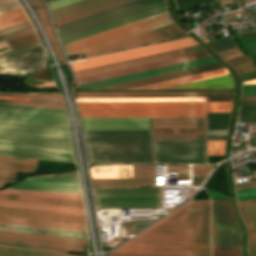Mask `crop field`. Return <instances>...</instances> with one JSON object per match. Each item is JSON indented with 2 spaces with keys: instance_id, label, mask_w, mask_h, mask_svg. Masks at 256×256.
I'll list each match as a JSON object with an SVG mask.
<instances>
[{
  "instance_id": "8a807250",
  "label": "crop field",
  "mask_w": 256,
  "mask_h": 256,
  "mask_svg": "<svg viewBox=\"0 0 256 256\" xmlns=\"http://www.w3.org/2000/svg\"><path fill=\"white\" fill-rule=\"evenodd\" d=\"M0 155L73 161L69 129L0 121Z\"/></svg>"
},
{
  "instance_id": "ac0d7876",
  "label": "crop field",
  "mask_w": 256,
  "mask_h": 256,
  "mask_svg": "<svg viewBox=\"0 0 256 256\" xmlns=\"http://www.w3.org/2000/svg\"><path fill=\"white\" fill-rule=\"evenodd\" d=\"M126 244L210 245L209 200L188 202Z\"/></svg>"
},
{
  "instance_id": "34b2d1b8",
  "label": "crop field",
  "mask_w": 256,
  "mask_h": 256,
  "mask_svg": "<svg viewBox=\"0 0 256 256\" xmlns=\"http://www.w3.org/2000/svg\"><path fill=\"white\" fill-rule=\"evenodd\" d=\"M88 162H154L152 131H82Z\"/></svg>"
},
{
  "instance_id": "412701ff",
  "label": "crop field",
  "mask_w": 256,
  "mask_h": 256,
  "mask_svg": "<svg viewBox=\"0 0 256 256\" xmlns=\"http://www.w3.org/2000/svg\"><path fill=\"white\" fill-rule=\"evenodd\" d=\"M79 118L205 117L204 102L76 103Z\"/></svg>"
},
{
  "instance_id": "f4fd0767",
  "label": "crop field",
  "mask_w": 256,
  "mask_h": 256,
  "mask_svg": "<svg viewBox=\"0 0 256 256\" xmlns=\"http://www.w3.org/2000/svg\"><path fill=\"white\" fill-rule=\"evenodd\" d=\"M172 20V19H171ZM168 18L167 13L163 12L67 45H64V49L67 55L87 52L128 37L173 23Z\"/></svg>"
},
{
  "instance_id": "dd49c442",
  "label": "crop field",
  "mask_w": 256,
  "mask_h": 256,
  "mask_svg": "<svg viewBox=\"0 0 256 256\" xmlns=\"http://www.w3.org/2000/svg\"><path fill=\"white\" fill-rule=\"evenodd\" d=\"M163 0H135L109 10L58 26L60 38H65L161 5Z\"/></svg>"
},
{
  "instance_id": "e52e79f7",
  "label": "crop field",
  "mask_w": 256,
  "mask_h": 256,
  "mask_svg": "<svg viewBox=\"0 0 256 256\" xmlns=\"http://www.w3.org/2000/svg\"><path fill=\"white\" fill-rule=\"evenodd\" d=\"M0 206H10V207H20V208L84 214L83 209H79V208H70V207H61V206H52V205H43V204H34V203H25V202H16V201H7V200H0ZM0 215L85 224L84 215H77V214L0 207Z\"/></svg>"
},
{
  "instance_id": "d8731c3e",
  "label": "crop field",
  "mask_w": 256,
  "mask_h": 256,
  "mask_svg": "<svg viewBox=\"0 0 256 256\" xmlns=\"http://www.w3.org/2000/svg\"><path fill=\"white\" fill-rule=\"evenodd\" d=\"M156 162L206 163L205 141H154Z\"/></svg>"
},
{
  "instance_id": "5a996713",
  "label": "crop field",
  "mask_w": 256,
  "mask_h": 256,
  "mask_svg": "<svg viewBox=\"0 0 256 256\" xmlns=\"http://www.w3.org/2000/svg\"><path fill=\"white\" fill-rule=\"evenodd\" d=\"M34 43L8 53L0 57L15 53L17 51L38 45ZM44 51L40 45L17 52L15 54L0 58V74L23 76L28 73L45 68Z\"/></svg>"
},
{
  "instance_id": "3316defc",
  "label": "crop field",
  "mask_w": 256,
  "mask_h": 256,
  "mask_svg": "<svg viewBox=\"0 0 256 256\" xmlns=\"http://www.w3.org/2000/svg\"><path fill=\"white\" fill-rule=\"evenodd\" d=\"M197 43L191 38H184L179 40H174L170 42H165L161 44L151 45L147 47H142L138 49H133L129 51H124L120 53L110 54L106 56H101L97 58H92L88 60L78 61L70 63L73 71L90 68L94 66L104 65L108 63H113L117 61L127 60L131 58L141 57L145 55L155 54L159 52H164L168 50L178 49L182 47L196 45Z\"/></svg>"
},
{
  "instance_id": "28ad6ade",
  "label": "crop field",
  "mask_w": 256,
  "mask_h": 256,
  "mask_svg": "<svg viewBox=\"0 0 256 256\" xmlns=\"http://www.w3.org/2000/svg\"><path fill=\"white\" fill-rule=\"evenodd\" d=\"M66 110L0 104V119L69 126Z\"/></svg>"
},
{
  "instance_id": "d1516ede",
  "label": "crop field",
  "mask_w": 256,
  "mask_h": 256,
  "mask_svg": "<svg viewBox=\"0 0 256 256\" xmlns=\"http://www.w3.org/2000/svg\"><path fill=\"white\" fill-rule=\"evenodd\" d=\"M204 50L199 46H192L187 48H182L178 50L168 51L164 53H159L155 55L145 56L141 58L131 59L127 61L117 62L113 64H108L104 66L94 67L90 69L80 70L74 72L75 78H82L87 76H92L96 74L106 73L110 71L120 70L124 68L134 67L138 65H143L147 63L157 62L161 60L171 59L175 57L185 56L189 54L203 52Z\"/></svg>"
},
{
  "instance_id": "22f410ed",
  "label": "crop field",
  "mask_w": 256,
  "mask_h": 256,
  "mask_svg": "<svg viewBox=\"0 0 256 256\" xmlns=\"http://www.w3.org/2000/svg\"><path fill=\"white\" fill-rule=\"evenodd\" d=\"M184 31L179 28L175 23L131 37L129 39L84 53V57H92L96 55L111 53L115 51L130 49L134 47H139L142 44H145L147 42L151 43L154 41H158L170 36H174L180 33H183Z\"/></svg>"
},
{
  "instance_id": "cbeb9de0",
  "label": "crop field",
  "mask_w": 256,
  "mask_h": 256,
  "mask_svg": "<svg viewBox=\"0 0 256 256\" xmlns=\"http://www.w3.org/2000/svg\"><path fill=\"white\" fill-rule=\"evenodd\" d=\"M215 62L216 61L212 57H209V58L190 61V62H186V63L171 65V66H167V67H162V68L152 69V70L138 72V73H134V74L119 76V77H115V78L100 80V81L86 83V84H82V85H77L75 87L85 88V89H95V88H99V87L123 83V82H127V81H132V80H136V79L146 78V77L160 75V74L169 73V72H174V71H178V70H183V69H187V68L211 64V63H215Z\"/></svg>"
},
{
  "instance_id": "5142ce71",
  "label": "crop field",
  "mask_w": 256,
  "mask_h": 256,
  "mask_svg": "<svg viewBox=\"0 0 256 256\" xmlns=\"http://www.w3.org/2000/svg\"><path fill=\"white\" fill-rule=\"evenodd\" d=\"M96 208L160 207V194L94 195Z\"/></svg>"
},
{
  "instance_id": "d9b57169",
  "label": "crop field",
  "mask_w": 256,
  "mask_h": 256,
  "mask_svg": "<svg viewBox=\"0 0 256 256\" xmlns=\"http://www.w3.org/2000/svg\"><path fill=\"white\" fill-rule=\"evenodd\" d=\"M79 120L82 130H152L151 118Z\"/></svg>"
},
{
  "instance_id": "733c2abd",
  "label": "crop field",
  "mask_w": 256,
  "mask_h": 256,
  "mask_svg": "<svg viewBox=\"0 0 256 256\" xmlns=\"http://www.w3.org/2000/svg\"><path fill=\"white\" fill-rule=\"evenodd\" d=\"M234 92L77 93L78 97H206V101H232Z\"/></svg>"
},
{
  "instance_id": "4a817a6b",
  "label": "crop field",
  "mask_w": 256,
  "mask_h": 256,
  "mask_svg": "<svg viewBox=\"0 0 256 256\" xmlns=\"http://www.w3.org/2000/svg\"><path fill=\"white\" fill-rule=\"evenodd\" d=\"M7 188L80 192L77 177L27 178Z\"/></svg>"
},
{
  "instance_id": "bc2a9ffb",
  "label": "crop field",
  "mask_w": 256,
  "mask_h": 256,
  "mask_svg": "<svg viewBox=\"0 0 256 256\" xmlns=\"http://www.w3.org/2000/svg\"><path fill=\"white\" fill-rule=\"evenodd\" d=\"M134 179H91L93 188L155 185V165H133Z\"/></svg>"
},
{
  "instance_id": "214f88e0",
  "label": "crop field",
  "mask_w": 256,
  "mask_h": 256,
  "mask_svg": "<svg viewBox=\"0 0 256 256\" xmlns=\"http://www.w3.org/2000/svg\"><path fill=\"white\" fill-rule=\"evenodd\" d=\"M209 56L210 55H208L206 52H203V53H199V54H194V55L175 58V59H171V60L161 61V62H157V63L147 64V65H143V66H138V67H134V68L124 69V70H120V71L110 72V73L96 75V76L87 77V78H82V79L76 80L75 85L86 83V82H91V81H96V80H100V79L115 77V76H119V75L134 73V72H138V71L148 70V69H152V68L167 66V65H171V64L186 62V61H190V60L200 59V58L209 57Z\"/></svg>"
},
{
  "instance_id": "92a150f3",
  "label": "crop field",
  "mask_w": 256,
  "mask_h": 256,
  "mask_svg": "<svg viewBox=\"0 0 256 256\" xmlns=\"http://www.w3.org/2000/svg\"><path fill=\"white\" fill-rule=\"evenodd\" d=\"M0 244L10 245V246H19V247H28V248H37V249H46V250L84 252L83 245H79V244L39 241V240L10 238V237H0Z\"/></svg>"
},
{
  "instance_id": "dafd665d",
  "label": "crop field",
  "mask_w": 256,
  "mask_h": 256,
  "mask_svg": "<svg viewBox=\"0 0 256 256\" xmlns=\"http://www.w3.org/2000/svg\"><path fill=\"white\" fill-rule=\"evenodd\" d=\"M114 252L210 253V246L123 245Z\"/></svg>"
},
{
  "instance_id": "00972430",
  "label": "crop field",
  "mask_w": 256,
  "mask_h": 256,
  "mask_svg": "<svg viewBox=\"0 0 256 256\" xmlns=\"http://www.w3.org/2000/svg\"><path fill=\"white\" fill-rule=\"evenodd\" d=\"M218 68H222V66L218 63H215L211 65L201 66L197 68L187 69L183 71H178L174 73L164 74L160 76L150 77L146 79L136 80L132 82H127V83L113 85V86L99 88V89H128L132 87H137L141 85H146L150 83H155L159 81H164L168 79H173L177 77H182V76L191 75V74L200 73V72L209 71V70L218 69Z\"/></svg>"
},
{
  "instance_id": "a9b5d70f",
  "label": "crop field",
  "mask_w": 256,
  "mask_h": 256,
  "mask_svg": "<svg viewBox=\"0 0 256 256\" xmlns=\"http://www.w3.org/2000/svg\"><path fill=\"white\" fill-rule=\"evenodd\" d=\"M0 223L86 232L85 225L0 216Z\"/></svg>"
},
{
  "instance_id": "4177f3b9",
  "label": "crop field",
  "mask_w": 256,
  "mask_h": 256,
  "mask_svg": "<svg viewBox=\"0 0 256 256\" xmlns=\"http://www.w3.org/2000/svg\"><path fill=\"white\" fill-rule=\"evenodd\" d=\"M166 10H167L166 6L164 5V6H161V7H158V8H155V9H152V10H149V11H146V12H143V13H140V14H137V15H134V16H131V17H128V18H125V19H122V20H119V21H116V22H113V23H110V24L92 29V30H89V31H86V32H83V33H80V34L62 39L61 41L63 42V44H65V43H68V42H71V41H74V40H77V39H80V38H83V37H86V36H90V35H93V34H96V33H99V32H102V31H105V30H108V29H111V28H114V27H117V26H120V25H123V24H126V23H129V22L138 20V19H142V18L151 16V15L166 11Z\"/></svg>"
},
{
  "instance_id": "730fd06b",
  "label": "crop field",
  "mask_w": 256,
  "mask_h": 256,
  "mask_svg": "<svg viewBox=\"0 0 256 256\" xmlns=\"http://www.w3.org/2000/svg\"><path fill=\"white\" fill-rule=\"evenodd\" d=\"M91 178H133L132 165L89 167Z\"/></svg>"
},
{
  "instance_id": "eef30255",
  "label": "crop field",
  "mask_w": 256,
  "mask_h": 256,
  "mask_svg": "<svg viewBox=\"0 0 256 256\" xmlns=\"http://www.w3.org/2000/svg\"><path fill=\"white\" fill-rule=\"evenodd\" d=\"M237 207L248 230V240L256 239V199L237 202Z\"/></svg>"
},
{
  "instance_id": "ae1a2a85",
  "label": "crop field",
  "mask_w": 256,
  "mask_h": 256,
  "mask_svg": "<svg viewBox=\"0 0 256 256\" xmlns=\"http://www.w3.org/2000/svg\"><path fill=\"white\" fill-rule=\"evenodd\" d=\"M153 128L205 127V118H152Z\"/></svg>"
},
{
  "instance_id": "d3111659",
  "label": "crop field",
  "mask_w": 256,
  "mask_h": 256,
  "mask_svg": "<svg viewBox=\"0 0 256 256\" xmlns=\"http://www.w3.org/2000/svg\"><path fill=\"white\" fill-rule=\"evenodd\" d=\"M111 1H114V0H81L69 5L62 6L52 10L54 20L80 12V11H84V10H87Z\"/></svg>"
},
{
  "instance_id": "750c4746",
  "label": "crop field",
  "mask_w": 256,
  "mask_h": 256,
  "mask_svg": "<svg viewBox=\"0 0 256 256\" xmlns=\"http://www.w3.org/2000/svg\"><path fill=\"white\" fill-rule=\"evenodd\" d=\"M167 88H234L230 74Z\"/></svg>"
},
{
  "instance_id": "bd1437ed",
  "label": "crop field",
  "mask_w": 256,
  "mask_h": 256,
  "mask_svg": "<svg viewBox=\"0 0 256 256\" xmlns=\"http://www.w3.org/2000/svg\"><path fill=\"white\" fill-rule=\"evenodd\" d=\"M0 199L83 208L82 201L0 194Z\"/></svg>"
},
{
  "instance_id": "1d83c4d3",
  "label": "crop field",
  "mask_w": 256,
  "mask_h": 256,
  "mask_svg": "<svg viewBox=\"0 0 256 256\" xmlns=\"http://www.w3.org/2000/svg\"><path fill=\"white\" fill-rule=\"evenodd\" d=\"M227 73L228 72L226 71V69L222 68V69H218V70H213V71H209V72H204V73H200V74H195V75H191V76H186V77H182V78H177V79H173V80H168V81L159 82V83L150 84V85L141 86V87L132 88V89L162 88V87H166V86L176 85V84H180V83L190 82V81H194V80L204 79V78L218 76V75L227 74Z\"/></svg>"
},
{
  "instance_id": "120bbe31",
  "label": "crop field",
  "mask_w": 256,
  "mask_h": 256,
  "mask_svg": "<svg viewBox=\"0 0 256 256\" xmlns=\"http://www.w3.org/2000/svg\"><path fill=\"white\" fill-rule=\"evenodd\" d=\"M0 230H10V231L30 232V233H39V234L79 237V238L87 239L86 233L34 228V227L17 226V225H8V224H0Z\"/></svg>"
},
{
  "instance_id": "d32e631a",
  "label": "crop field",
  "mask_w": 256,
  "mask_h": 256,
  "mask_svg": "<svg viewBox=\"0 0 256 256\" xmlns=\"http://www.w3.org/2000/svg\"><path fill=\"white\" fill-rule=\"evenodd\" d=\"M35 166L0 163V186L4 187L16 179V173L32 172Z\"/></svg>"
},
{
  "instance_id": "5866460e",
  "label": "crop field",
  "mask_w": 256,
  "mask_h": 256,
  "mask_svg": "<svg viewBox=\"0 0 256 256\" xmlns=\"http://www.w3.org/2000/svg\"><path fill=\"white\" fill-rule=\"evenodd\" d=\"M76 102L204 101V98H75Z\"/></svg>"
},
{
  "instance_id": "028f5c9d",
  "label": "crop field",
  "mask_w": 256,
  "mask_h": 256,
  "mask_svg": "<svg viewBox=\"0 0 256 256\" xmlns=\"http://www.w3.org/2000/svg\"><path fill=\"white\" fill-rule=\"evenodd\" d=\"M212 223H237L231 213L230 202L211 201Z\"/></svg>"
},
{
  "instance_id": "e1f06a70",
  "label": "crop field",
  "mask_w": 256,
  "mask_h": 256,
  "mask_svg": "<svg viewBox=\"0 0 256 256\" xmlns=\"http://www.w3.org/2000/svg\"><path fill=\"white\" fill-rule=\"evenodd\" d=\"M0 193L79 200L77 193L4 189Z\"/></svg>"
},
{
  "instance_id": "0bd39190",
  "label": "crop field",
  "mask_w": 256,
  "mask_h": 256,
  "mask_svg": "<svg viewBox=\"0 0 256 256\" xmlns=\"http://www.w3.org/2000/svg\"><path fill=\"white\" fill-rule=\"evenodd\" d=\"M0 236H10V237H20V238H30V239H39V240H49V241H59V242H69V243L83 244V239H79V238L39 235V234L10 232V231H0Z\"/></svg>"
},
{
  "instance_id": "b80d0937",
  "label": "crop field",
  "mask_w": 256,
  "mask_h": 256,
  "mask_svg": "<svg viewBox=\"0 0 256 256\" xmlns=\"http://www.w3.org/2000/svg\"><path fill=\"white\" fill-rule=\"evenodd\" d=\"M0 96L29 98V101H64L57 93L44 92H0Z\"/></svg>"
},
{
  "instance_id": "c035e120",
  "label": "crop field",
  "mask_w": 256,
  "mask_h": 256,
  "mask_svg": "<svg viewBox=\"0 0 256 256\" xmlns=\"http://www.w3.org/2000/svg\"><path fill=\"white\" fill-rule=\"evenodd\" d=\"M0 256H77V255L0 247Z\"/></svg>"
},
{
  "instance_id": "c21b1889",
  "label": "crop field",
  "mask_w": 256,
  "mask_h": 256,
  "mask_svg": "<svg viewBox=\"0 0 256 256\" xmlns=\"http://www.w3.org/2000/svg\"><path fill=\"white\" fill-rule=\"evenodd\" d=\"M129 1H132V0H118V1L106 4V5H102V6H99V7H96V8H93V9H90V10H87V11H84V12L72 15V16H68V17L56 20L55 22H56V25L58 26V25H61V24H64V23H67V22H70V21H73V20H76V19L88 16V15H91V14H94V13L106 10L108 8H111V7H114V6H117V5L129 2Z\"/></svg>"
},
{
  "instance_id": "03da06ac",
  "label": "crop field",
  "mask_w": 256,
  "mask_h": 256,
  "mask_svg": "<svg viewBox=\"0 0 256 256\" xmlns=\"http://www.w3.org/2000/svg\"><path fill=\"white\" fill-rule=\"evenodd\" d=\"M230 113H207V130H227Z\"/></svg>"
},
{
  "instance_id": "b54c1fbb",
  "label": "crop field",
  "mask_w": 256,
  "mask_h": 256,
  "mask_svg": "<svg viewBox=\"0 0 256 256\" xmlns=\"http://www.w3.org/2000/svg\"><path fill=\"white\" fill-rule=\"evenodd\" d=\"M241 235L212 234V247H240Z\"/></svg>"
},
{
  "instance_id": "5d738f31",
  "label": "crop field",
  "mask_w": 256,
  "mask_h": 256,
  "mask_svg": "<svg viewBox=\"0 0 256 256\" xmlns=\"http://www.w3.org/2000/svg\"><path fill=\"white\" fill-rule=\"evenodd\" d=\"M95 194L160 193V188L94 189Z\"/></svg>"
},
{
  "instance_id": "d23c7cc5",
  "label": "crop field",
  "mask_w": 256,
  "mask_h": 256,
  "mask_svg": "<svg viewBox=\"0 0 256 256\" xmlns=\"http://www.w3.org/2000/svg\"><path fill=\"white\" fill-rule=\"evenodd\" d=\"M28 20L0 29V40L31 30Z\"/></svg>"
},
{
  "instance_id": "425ffa30",
  "label": "crop field",
  "mask_w": 256,
  "mask_h": 256,
  "mask_svg": "<svg viewBox=\"0 0 256 256\" xmlns=\"http://www.w3.org/2000/svg\"><path fill=\"white\" fill-rule=\"evenodd\" d=\"M26 19L27 18L21 8L2 14L0 15V28L15 24Z\"/></svg>"
},
{
  "instance_id": "25e5ab78",
  "label": "crop field",
  "mask_w": 256,
  "mask_h": 256,
  "mask_svg": "<svg viewBox=\"0 0 256 256\" xmlns=\"http://www.w3.org/2000/svg\"><path fill=\"white\" fill-rule=\"evenodd\" d=\"M37 38L34 32H29L23 35H19L10 39H7V42L11 48V50L37 42Z\"/></svg>"
},
{
  "instance_id": "73cf0c24",
  "label": "crop field",
  "mask_w": 256,
  "mask_h": 256,
  "mask_svg": "<svg viewBox=\"0 0 256 256\" xmlns=\"http://www.w3.org/2000/svg\"><path fill=\"white\" fill-rule=\"evenodd\" d=\"M209 45L217 52H222L234 47H237V44L233 38V36H228L226 38L214 41L212 43H209Z\"/></svg>"
},
{
  "instance_id": "89e229c0",
  "label": "crop field",
  "mask_w": 256,
  "mask_h": 256,
  "mask_svg": "<svg viewBox=\"0 0 256 256\" xmlns=\"http://www.w3.org/2000/svg\"><path fill=\"white\" fill-rule=\"evenodd\" d=\"M237 122H256V107H239Z\"/></svg>"
},
{
  "instance_id": "1f2cbd36",
  "label": "crop field",
  "mask_w": 256,
  "mask_h": 256,
  "mask_svg": "<svg viewBox=\"0 0 256 256\" xmlns=\"http://www.w3.org/2000/svg\"><path fill=\"white\" fill-rule=\"evenodd\" d=\"M212 233L241 234L238 224H212Z\"/></svg>"
},
{
  "instance_id": "dbb93151",
  "label": "crop field",
  "mask_w": 256,
  "mask_h": 256,
  "mask_svg": "<svg viewBox=\"0 0 256 256\" xmlns=\"http://www.w3.org/2000/svg\"><path fill=\"white\" fill-rule=\"evenodd\" d=\"M0 103L65 109L63 103H35L9 100H0Z\"/></svg>"
},
{
  "instance_id": "0fb4a251",
  "label": "crop field",
  "mask_w": 256,
  "mask_h": 256,
  "mask_svg": "<svg viewBox=\"0 0 256 256\" xmlns=\"http://www.w3.org/2000/svg\"><path fill=\"white\" fill-rule=\"evenodd\" d=\"M107 256H210V254L110 253Z\"/></svg>"
},
{
  "instance_id": "1d79db26",
  "label": "crop field",
  "mask_w": 256,
  "mask_h": 256,
  "mask_svg": "<svg viewBox=\"0 0 256 256\" xmlns=\"http://www.w3.org/2000/svg\"><path fill=\"white\" fill-rule=\"evenodd\" d=\"M154 140H205V135H154Z\"/></svg>"
},
{
  "instance_id": "9d1cf04e",
  "label": "crop field",
  "mask_w": 256,
  "mask_h": 256,
  "mask_svg": "<svg viewBox=\"0 0 256 256\" xmlns=\"http://www.w3.org/2000/svg\"><path fill=\"white\" fill-rule=\"evenodd\" d=\"M232 102H206L207 112H230Z\"/></svg>"
},
{
  "instance_id": "447ae74e",
  "label": "crop field",
  "mask_w": 256,
  "mask_h": 256,
  "mask_svg": "<svg viewBox=\"0 0 256 256\" xmlns=\"http://www.w3.org/2000/svg\"><path fill=\"white\" fill-rule=\"evenodd\" d=\"M213 1L217 0H174L178 11Z\"/></svg>"
},
{
  "instance_id": "0765c3eb",
  "label": "crop field",
  "mask_w": 256,
  "mask_h": 256,
  "mask_svg": "<svg viewBox=\"0 0 256 256\" xmlns=\"http://www.w3.org/2000/svg\"><path fill=\"white\" fill-rule=\"evenodd\" d=\"M239 76L255 71L256 66L252 59L232 65Z\"/></svg>"
},
{
  "instance_id": "db79e9e6",
  "label": "crop field",
  "mask_w": 256,
  "mask_h": 256,
  "mask_svg": "<svg viewBox=\"0 0 256 256\" xmlns=\"http://www.w3.org/2000/svg\"><path fill=\"white\" fill-rule=\"evenodd\" d=\"M225 141H207L208 155H223Z\"/></svg>"
},
{
  "instance_id": "7b73153f",
  "label": "crop field",
  "mask_w": 256,
  "mask_h": 256,
  "mask_svg": "<svg viewBox=\"0 0 256 256\" xmlns=\"http://www.w3.org/2000/svg\"><path fill=\"white\" fill-rule=\"evenodd\" d=\"M212 256H241L240 248H212Z\"/></svg>"
},
{
  "instance_id": "78b8030e",
  "label": "crop field",
  "mask_w": 256,
  "mask_h": 256,
  "mask_svg": "<svg viewBox=\"0 0 256 256\" xmlns=\"http://www.w3.org/2000/svg\"><path fill=\"white\" fill-rule=\"evenodd\" d=\"M19 7L16 0H0V14Z\"/></svg>"
},
{
  "instance_id": "0f1d7ab4",
  "label": "crop field",
  "mask_w": 256,
  "mask_h": 256,
  "mask_svg": "<svg viewBox=\"0 0 256 256\" xmlns=\"http://www.w3.org/2000/svg\"><path fill=\"white\" fill-rule=\"evenodd\" d=\"M237 200L256 198V188L235 191Z\"/></svg>"
},
{
  "instance_id": "e1d0b9f6",
  "label": "crop field",
  "mask_w": 256,
  "mask_h": 256,
  "mask_svg": "<svg viewBox=\"0 0 256 256\" xmlns=\"http://www.w3.org/2000/svg\"><path fill=\"white\" fill-rule=\"evenodd\" d=\"M44 30H45V32H46V34H47V36H48V38H49V40L51 42V44H52L56 54H57V57H58L59 61L60 62L64 61L62 56H61V54H60V51L58 49L57 43L55 41V38H54V36L52 34V31H51L50 27H47Z\"/></svg>"
},
{
  "instance_id": "ae633e8c",
  "label": "crop field",
  "mask_w": 256,
  "mask_h": 256,
  "mask_svg": "<svg viewBox=\"0 0 256 256\" xmlns=\"http://www.w3.org/2000/svg\"><path fill=\"white\" fill-rule=\"evenodd\" d=\"M34 11H35L41 25L43 26V28L48 26L49 23H48V19H47L44 7L35 9Z\"/></svg>"
},
{
  "instance_id": "d14b1444",
  "label": "crop field",
  "mask_w": 256,
  "mask_h": 256,
  "mask_svg": "<svg viewBox=\"0 0 256 256\" xmlns=\"http://www.w3.org/2000/svg\"><path fill=\"white\" fill-rule=\"evenodd\" d=\"M0 161L35 165L36 160L0 157Z\"/></svg>"
},
{
  "instance_id": "c39391a2",
  "label": "crop field",
  "mask_w": 256,
  "mask_h": 256,
  "mask_svg": "<svg viewBox=\"0 0 256 256\" xmlns=\"http://www.w3.org/2000/svg\"><path fill=\"white\" fill-rule=\"evenodd\" d=\"M241 96H256V85H242Z\"/></svg>"
},
{
  "instance_id": "ade564c9",
  "label": "crop field",
  "mask_w": 256,
  "mask_h": 256,
  "mask_svg": "<svg viewBox=\"0 0 256 256\" xmlns=\"http://www.w3.org/2000/svg\"><path fill=\"white\" fill-rule=\"evenodd\" d=\"M212 166H192L193 175H207Z\"/></svg>"
},
{
  "instance_id": "c5b07064",
  "label": "crop field",
  "mask_w": 256,
  "mask_h": 256,
  "mask_svg": "<svg viewBox=\"0 0 256 256\" xmlns=\"http://www.w3.org/2000/svg\"><path fill=\"white\" fill-rule=\"evenodd\" d=\"M188 173V166L168 165V173Z\"/></svg>"
},
{
  "instance_id": "c3a83c6f",
  "label": "crop field",
  "mask_w": 256,
  "mask_h": 256,
  "mask_svg": "<svg viewBox=\"0 0 256 256\" xmlns=\"http://www.w3.org/2000/svg\"><path fill=\"white\" fill-rule=\"evenodd\" d=\"M75 1H78V0H56V1L50 2L49 4H50V8L53 9V8H56L68 3H72Z\"/></svg>"
},
{
  "instance_id": "fb207236",
  "label": "crop field",
  "mask_w": 256,
  "mask_h": 256,
  "mask_svg": "<svg viewBox=\"0 0 256 256\" xmlns=\"http://www.w3.org/2000/svg\"><path fill=\"white\" fill-rule=\"evenodd\" d=\"M256 187V181L235 184V190Z\"/></svg>"
},
{
  "instance_id": "7312dd0a",
  "label": "crop field",
  "mask_w": 256,
  "mask_h": 256,
  "mask_svg": "<svg viewBox=\"0 0 256 256\" xmlns=\"http://www.w3.org/2000/svg\"><path fill=\"white\" fill-rule=\"evenodd\" d=\"M249 256H256V240L248 241Z\"/></svg>"
},
{
  "instance_id": "180be81f",
  "label": "crop field",
  "mask_w": 256,
  "mask_h": 256,
  "mask_svg": "<svg viewBox=\"0 0 256 256\" xmlns=\"http://www.w3.org/2000/svg\"><path fill=\"white\" fill-rule=\"evenodd\" d=\"M28 1H29V3L31 4V6H32L33 8L39 7V6H42V5H43L40 0H28Z\"/></svg>"
},
{
  "instance_id": "f0312440",
  "label": "crop field",
  "mask_w": 256,
  "mask_h": 256,
  "mask_svg": "<svg viewBox=\"0 0 256 256\" xmlns=\"http://www.w3.org/2000/svg\"><path fill=\"white\" fill-rule=\"evenodd\" d=\"M227 131H207V135H226Z\"/></svg>"
},
{
  "instance_id": "1f1604b0",
  "label": "crop field",
  "mask_w": 256,
  "mask_h": 256,
  "mask_svg": "<svg viewBox=\"0 0 256 256\" xmlns=\"http://www.w3.org/2000/svg\"><path fill=\"white\" fill-rule=\"evenodd\" d=\"M256 76V71L255 72H252L250 74H247V75H244V76H241V80L243 79H247V78H251V77H255Z\"/></svg>"
},
{
  "instance_id": "819c52e7",
  "label": "crop field",
  "mask_w": 256,
  "mask_h": 256,
  "mask_svg": "<svg viewBox=\"0 0 256 256\" xmlns=\"http://www.w3.org/2000/svg\"><path fill=\"white\" fill-rule=\"evenodd\" d=\"M3 99H13V100H23V101H28V99H22V98H9V97H0Z\"/></svg>"
},
{
  "instance_id": "c821d689",
  "label": "crop field",
  "mask_w": 256,
  "mask_h": 256,
  "mask_svg": "<svg viewBox=\"0 0 256 256\" xmlns=\"http://www.w3.org/2000/svg\"><path fill=\"white\" fill-rule=\"evenodd\" d=\"M183 37H188V35L184 34V35H181V36H178V37H175V38H171V39H168V40H165V41L174 40V39L183 38ZM162 42H164V41H162Z\"/></svg>"
},
{
  "instance_id": "a0ae1fb6",
  "label": "crop field",
  "mask_w": 256,
  "mask_h": 256,
  "mask_svg": "<svg viewBox=\"0 0 256 256\" xmlns=\"http://www.w3.org/2000/svg\"><path fill=\"white\" fill-rule=\"evenodd\" d=\"M7 51H9L7 46L3 47V48H0V54L4 53V52H7Z\"/></svg>"
},
{
  "instance_id": "8de936bc",
  "label": "crop field",
  "mask_w": 256,
  "mask_h": 256,
  "mask_svg": "<svg viewBox=\"0 0 256 256\" xmlns=\"http://www.w3.org/2000/svg\"><path fill=\"white\" fill-rule=\"evenodd\" d=\"M242 84H256V80L248 81V82H243Z\"/></svg>"
},
{
  "instance_id": "920284fa",
  "label": "crop field",
  "mask_w": 256,
  "mask_h": 256,
  "mask_svg": "<svg viewBox=\"0 0 256 256\" xmlns=\"http://www.w3.org/2000/svg\"><path fill=\"white\" fill-rule=\"evenodd\" d=\"M240 102H256V100H240Z\"/></svg>"
},
{
  "instance_id": "f47e1a6f",
  "label": "crop field",
  "mask_w": 256,
  "mask_h": 256,
  "mask_svg": "<svg viewBox=\"0 0 256 256\" xmlns=\"http://www.w3.org/2000/svg\"><path fill=\"white\" fill-rule=\"evenodd\" d=\"M231 35V34H230ZM228 36V35H227ZM224 37H226V36H224ZM221 38H223V37H221ZM218 39H220V38H218ZM217 40V39H216ZM214 41V40H213ZM210 42H212V41H210ZM207 43H209V42H207Z\"/></svg>"
},
{
  "instance_id": "5edd877f",
  "label": "crop field",
  "mask_w": 256,
  "mask_h": 256,
  "mask_svg": "<svg viewBox=\"0 0 256 256\" xmlns=\"http://www.w3.org/2000/svg\"><path fill=\"white\" fill-rule=\"evenodd\" d=\"M48 2H50V1H53V0H47Z\"/></svg>"
},
{
  "instance_id": "3620e2b9",
  "label": "crop field",
  "mask_w": 256,
  "mask_h": 256,
  "mask_svg": "<svg viewBox=\"0 0 256 256\" xmlns=\"http://www.w3.org/2000/svg\"><path fill=\"white\" fill-rule=\"evenodd\" d=\"M255 60H256V58H255Z\"/></svg>"
}]
</instances>
